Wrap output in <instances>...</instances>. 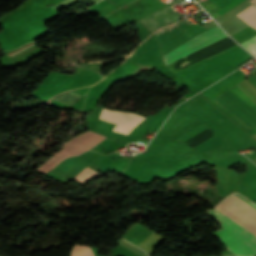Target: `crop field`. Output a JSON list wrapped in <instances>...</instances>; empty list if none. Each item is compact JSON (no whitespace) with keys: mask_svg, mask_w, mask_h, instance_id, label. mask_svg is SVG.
<instances>
[{"mask_svg":"<svg viewBox=\"0 0 256 256\" xmlns=\"http://www.w3.org/2000/svg\"><path fill=\"white\" fill-rule=\"evenodd\" d=\"M208 212L224 228L210 234L217 236L221 243L235 255H256V237L253 234L215 209L208 210Z\"/></svg>","mask_w":256,"mask_h":256,"instance_id":"1","label":"crop field"},{"mask_svg":"<svg viewBox=\"0 0 256 256\" xmlns=\"http://www.w3.org/2000/svg\"><path fill=\"white\" fill-rule=\"evenodd\" d=\"M105 138L106 137L98 133L87 130L71 138L70 140L64 142L61 145V149L65 150L66 152H68L73 156H76V155H80L81 153L87 150H90ZM63 150L53 155L46 163H44L41 167H39L36 170L44 175L50 170H52L62 160L71 156Z\"/></svg>","mask_w":256,"mask_h":256,"instance_id":"2","label":"crop field"},{"mask_svg":"<svg viewBox=\"0 0 256 256\" xmlns=\"http://www.w3.org/2000/svg\"><path fill=\"white\" fill-rule=\"evenodd\" d=\"M226 35L218 26H215L209 30H206L204 32H202L201 34L195 36L194 38L190 39L189 41L185 42L184 44L180 45L179 47L173 49L172 51L168 52L167 54L163 55V59H164V63L167 65L195 50H197L198 48L222 37ZM238 46V45H236ZM234 46V47H236ZM232 47V48H234ZM232 48H229L223 52H220L216 55H213L209 58H207V60L221 54L224 53Z\"/></svg>","mask_w":256,"mask_h":256,"instance_id":"3","label":"crop field"},{"mask_svg":"<svg viewBox=\"0 0 256 256\" xmlns=\"http://www.w3.org/2000/svg\"><path fill=\"white\" fill-rule=\"evenodd\" d=\"M126 112L115 111L110 109H102L100 118L116 124ZM145 117L127 112L126 115L115 125L114 131L128 134L138 123H140Z\"/></svg>","mask_w":256,"mask_h":256,"instance_id":"4","label":"crop field"},{"mask_svg":"<svg viewBox=\"0 0 256 256\" xmlns=\"http://www.w3.org/2000/svg\"><path fill=\"white\" fill-rule=\"evenodd\" d=\"M236 16L239 17L244 22H246L249 26L256 29V6L255 5L252 4L246 10H244L243 12H241Z\"/></svg>","mask_w":256,"mask_h":256,"instance_id":"5","label":"crop field"},{"mask_svg":"<svg viewBox=\"0 0 256 256\" xmlns=\"http://www.w3.org/2000/svg\"><path fill=\"white\" fill-rule=\"evenodd\" d=\"M102 174H98L95 171L89 169V168H85L81 173H79L74 179H76L77 181H79L80 183H85L87 181L96 179L101 177Z\"/></svg>","mask_w":256,"mask_h":256,"instance_id":"6","label":"crop field"},{"mask_svg":"<svg viewBox=\"0 0 256 256\" xmlns=\"http://www.w3.org/2000/svg\"><path fill=\"white\" fill-rule=\"evenodd\" d=\"M70 256H94L91 249L82 245H75Z\"/></svg>","mask_w":256,"mask_h":256,"instance_id":"7","label":"crop field"},{"mask_svg":"<svg viewBox=\"0 0 256 256\" xmlns=\"http://www.w3.org/2000/svg\"><path fill=\"white\" fill-rule=\"evenodd\" d=\"M207 125H205L203 122L200 123L199 125H197L196 127H194L193 129H191L190 131H188L187 133H185L184 135H182L181 137H179L177 140L181 141V142H185L188 139H190L191 137H193L195 134H197L199 131H201L202 129H204Z\"/></svg>","mask_w":256,"mask_h":256,"instance_id":"8","label":"crop field"},{"mask_svg":"<svg viewBox=\"0 0 256 256\" xmlns=\"http://www.w3.org/2000/svg\"><path fill=\"white\" fill-rule=\"evenodd\" d=\"M243 1L244 0H233L230 3H228L227 5L223 6L220 9H218L216 12L221 16V15H223L224 13H226L230 9L234 8L235 6H237L238 4H240Z\"/></svg>","mask_w":256,"mask_h":256,"instance_id":"9","label":"crop field"},{"mask_svg":"<svg viewBox=\"0 0 256 256\" xmlns=\"http://www.w3.org/2000/svg\"><path fill=\"white\" fill-rule=\"evenodd\" d=\"M241 44L244 45L250 52H252L256 56V36L248 39Z\"/></svg>","mask_w":256,"mask_h":256,"instance_id":"10","label":"crop field"},{"mask_svg":"<svg viewBox=\"0 0 256 256\" xmlns=\"http://www.w3.org/2000/svg\"><path fill=\"white\" fill-rule=\"evenodd\" d=\"M206 29H204L203 27L201 26H198V25H194L192 26L191 28L183 31L186 35H188L190 38L199 34L200 32L204 31Z\"/></svg>","mask_w":256,"mask_h":256,"instance_id":"11","label":"crop field"},{"mask_svg":"<svg viewBox=\"0 0 256 256\" xmlns=\"http://www.w3.org/2000/svg\"><path fill=\"white\" fill-rule=\"evenodd\" d=\"M255 1H256V0H251L250 2H252V3H253V2H255Z\"/></svg>","mask_w":256,"mask_h":256,"instance_id":"12","label":"crop field"}]
</instances>
